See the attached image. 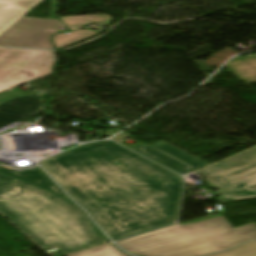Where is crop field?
<instances>
[{
    "label": "crop field",
    "mask_w": 256,
    "mask_h": 256,
    "mask_svg": "<svg viewBox=\"0 0 256 256\" xmlns=\"http://www.w3.org/2000/svg\"><path fill=\"white\" fill-rule=\"evenodd\" d=\"M39 164L113 240L176 219L182 178L110 141L84 144Z\"/></svg>",
    "instance_id": "8a807250"
},
{
    "label": "crop field",
    "mask_w": 256,
    "mask_h": 256,
    "mask_svg": "<svg viewBox=\"0 0 256 256\" xmlns=\"http://www.w3.org/2000/svg\"><path fill=\"white\" fill-rule=\"evenodd\" d=\"M93 34H96V33L89 30H80L68 35H66L65 33L57 34L53 36V40L56 44V48H60L64 45H67L69 43L91 36Z\"/></svg>",
    "instance_id": "22f410ed"
},
{
    "label": "crop field",
    "mask_w": 256,
    "mask_h": 256,
    "mask_svg": "<svg viewBox=\"0 0 256 256\" xmlns=\"http://www.w3.org/2000/svg\"><path fill=\"white\" fill-rule=\"evenodd\" d=\"M25 95L22 91H20L19 89L15 88L11 91H8L6 93H3L0 95V102L5 101L6 99L9 98H13V97H18V96H22Z\"/></svg>",
    "instance_id": "d9b57169"
},
{
    "label": "crop field",
    "mask_w": 256,
    "mask_h": 256,
    "mask_svg": "<svg viewBox=\"0 0 256 256\" xmlns=\"http://www.w3.org/2000/svg\"><path fill=\"white\" fill-rule=\"evenodd\" d=\"M18 180H15L13 178H10L8 176L0 174V187H3L5 185H8L10 183L16 182Z\"/></svg>",
    "instance_id": "733c2abd"
},
{
    "label": "crop field",
    "mask_w": 256,
    "mask_h": 256,
    "mask_svg": "<svg viewBox=\"0 0 256 256\" xmlns=\"http://www.w3.org/2000/svg\"><path fill=\"white\" fill-rule=\"evenodd\" d=\"M225 66L246 84L256 82V55L236 58Z\"/></svg>",
    "instance_id": "28ad6ade"
},
{
    "label": "crop field",
    "mask_w": 256,
    "mask_h": 256,
    "mask_svg": "<svg viewBox=\"0 0 256 256\" xmlns=\"http://www.w3.org/2000/svg\"><path fill=\"white\" fill-rule=\"evenodd\" d=\"M216 186L228 201L256 198V147L197 172Z\"/></svg>",
    "instance_id": "412701ff"
},
{
    "label": "crop field",
    "mask_w": 256,
    "mask_h": 256,
    "mask_svg": "<svg viewBox=\"0 0 256 256\" xmlns=\"http://www.w3.org/2000/svg\"><path fill=\"white\" fill-rule=\"evenodd\" d=\"M51 51L0 49V92L50 73Z\"/></svg>",
    "instance_id": "f4fd0767"
},
{
    "label": "crop field",
    "mask_w": 256,
    "mask_h": 256,
    "mask_svg": "<svg viewBox=\"0 0 256 256\" xmlns=\"http://www.w3.org/2000/svg\"><path fill=\"white\" fill-rule=\"evenodd\" d=\"M256 239V224L233 228L223 216L164 227L117 243L142 256H201Z\"/></svg>",
    "instance_id": "34b2d1b8"
},
{
    "label": "crop field",
    "mask_w": 256,
    "mask_h": 256,
    "mask_svg": "<svg viewBox=\"0 0 256 256\" xmlns=\"http://www.w3.org/2000/svg\"><path fill=\"white\" fill-rule=\"evenodd\" d=\"M44 101L30 97H20L0 105V119L34 117L42 111Z\"/></svg>",
    "instance_id": "d8731c3e"
},
{
    "label": "crop field",
    "mask_w": 256,
    "mask_h": 256,
    "mask_svg": "<svg viewBox=\"0 0 256 256\" xmlns=\"http://www.w3.org/2000/svg\"><path fill=\"white\" fill-rule=\"evenodd\" d=\"M0 214L41 248L69 254L105 243L78 209L21 181L0 188Z\"/></svg>",
    "instance_id": "ac0d7876"
},
{
    "label": "crop field",
    "mask_w": 256,
    "mask_h": 256,
    "mask_svg": "<svg viewBox=\"0 0 256 256\" xmlns=\"http://www.w3.org/2000/svg\"><path fill=\"white\" fill-rule=\"evenodd\" d=\"M39 0H0V33Z\"/></svg>",
    "instance_id": "5a996713"
},
{
    "label": "crop field",
    "mask_w": 256,
    "mask_h": 256,
    "mask_svg": "<svg viewBox=\"0 0 256 256\" xmlns=\"http://www.w3.org/2000/svg\"><path fill=\"white\" fill-rule=\"evenodd\" d=\"M93 226H94V228H95L97 234H98L101 238H103V239H108L94 224H93ZM108 240H109V239H108ZM109 241H110V240H109Z\"/></svg>",
    "instance_id": "bc2a9ffb"
},
{
    "label": "crop field",
    "mask_w": 256,
    "mask_h": 256,
    "mask_svg": "<svg viewBox=\"0 0 256 256\" xmlns=\"http://www.w3.org/2000/svg\"><path fill=\"white\" fill-rule=\"evenodd\" d=\"M56 0H51V14L47 19L22 17L0 35V46L35 47L53 49L50 36L57 33V27L66 28L55 18Z\"/></svg>",
    "instance_id": "dd49c442"
},
{
    "label": "crop field",
    "mask_w": 256,
    "mask_h": 256,
    "mask_svg": "<svg viewBox=\"0 0 256 256\" xmlns=\"http://www.w3.org/2000/svg\"><path fill=\"white\" fill-rule=\"evenodd\" d=\"M208 256H256V242L240 245L229 251Z\"/></svg>",
    "instance_id": "5142ce71"
},
{
    "label": "crop field",
    "mask_w": 256,
    "mask_h": 256,
    "mask_svg": "<svg viewBox=\"0 0 256 256\" xmlns=\"http://www.w3.org/2000/svg\"><path fill=\"white\" fill-rule=\"evenodd\" d=\"M66 201H68V202H70V203H72V204H74L69 198H67V199H65ZM75 205V204H74ZM75 206H77V205H75ZM78 207V206H77ZM90 219V218H89ZM90 221H91V219H90ZM92 222V221H91Z\"/></svg>",
    "instance_id": "214f88e0"
},
{
    "label": "crop field",
    "mask_w": 256,
    "mask_h": 256,
    "mask_svg": "<svg viewBox=\"0 0 256 256\" xmlns=\"http://www.w3.org/2000/svg\"><path fill=\"white\" fill-rule=\"evenodd\" d=\"M0 171L26 180L35 185L44 187L63 199L67 198V196L45 175V173L39 167L26 171H13L4 166H0Z\"/></svg>",
    "instance_id": "3316defc"
},
{
    "label": "crop field",
    "mask_w": 256,
    "mask_h": 256,
    "mask_svg": "<svg viewBox=\"0 0 256 256\" xmlns=\"http://www.w3.org/2000/svg\"><path fill=\"white\" fill-rule=\"evenodd\" d=\"M124 253L117 249L112 244L105 245L102 247L82 251L69 256H125Z\"/></svg>",
    "instance_id": "cbeb9de0"
},
{
    "label": "crop field",
    "mask_w": 256,
    "mask_h": 256,
    "mask_svg": "<svg viewBox=\"0 0 256 256\" xmlns=\"http://www.w3.org/2000/svg\"><path fill=\"white\" fill-rule=\"evenodd\" d=\"M70 29L76 30L85 23L109 24L112 18L106 15L60 18Z\"/></svg>",
    "instance_id": "d1516ede"
},
{
    "label": "crop field",
    "mask_w": 256,
    "mask_h": 256,
    "mask_svg": "<svg viewBox=\"0 0 256 256\" xmlns=\"http://www.w3.org/2000/svg\"><path fill=\"white\" fill-rule=\"evenodd\" d=\"M132 149L180 174L208 165L163 141L153 146L142 143Z\"/></svg>",
    "instance_id": "e52e79f7"
},
{
    "label": "crop field",
    "mask_w": 256,
    "mask_h": 256,
    "mask_svg": "<svg viewBox=\"0 0 256 256\" xmlns=\"http://www.w3.org/2000/svg\"><path fill=\"white\" fill-rule=\"evenodd\" d=\"M29 119H31V118L0 120V128H1V127H4V126H6V125H9V124H11V123H14V122H16V121H19V122L23 123V122H25V121H27V120H29Z\"/></svg>",
    "instance_id": "4a817a6b"
}]
</instances>
